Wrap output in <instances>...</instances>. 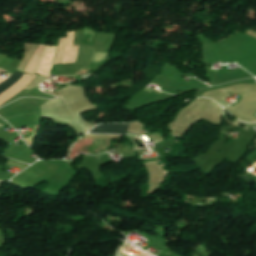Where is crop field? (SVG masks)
<instances>
[{
  "mask_svg": "<svg viewBox=\"0 0 256 256\" xmlns=\"http://www.w3.org/2000/svg\"><path fill=\"white\" fill-rule=\"evenodd\" d=\"M129 123L127 124H102L89 133H114L125 134Z\"/></svg>",
  "mask_w": 256,
  "mask_h": 256,
  "instance_id": "obj_1",
  "label": "crop field"
},
{
  "mask_svg": "<svg viewBox=\"0 0 256 256\" xmlns=\"http://www.w3.org/2000/svg\"><path fill=\"white\" fill-rule=\"evenodd\" d=\"M23 74L24 73L15 71L12 76H10L8 79L0 84V93L8 88L10 85H12L14 82H16L18 79H20Z\"/></svg>",
  "mask_w": 256,
  "mask_h": 256,
  "instance_id": "obj_2",
  "label": "crop field"
}]
</instances>
